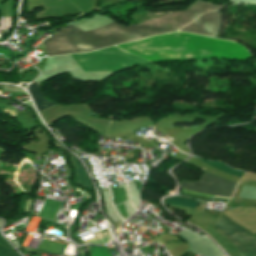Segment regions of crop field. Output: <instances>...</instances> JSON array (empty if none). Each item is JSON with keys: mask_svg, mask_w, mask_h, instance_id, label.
Here are the masks:
<instances>
[{"mask_svg": "<svg viewBox=\"0 0 256 256\" xmlns=\"http://www.w3.org/2000/svg\"><path fill=\"white\" fill-rule=\"evenodd\" d=\"M220 26L221 11H217L200 16L181 31L216 37Z\"/></svg>", "mask_w": 256, "mask_h": 256, "instance_id": "6", "label": "crop field"}, {"mask_svg": "<svg viewBox=\"0 0 256 256\" xmlns=\"http://www.w3.org/2000/svg\"><path fill=\"white\" fill-rule=\"evenodd\" d=\"M90 251L93 256H110L109 252L107 251V248H100V247H91Z\"/></svg>", "mask_w": 256, "mask_h": 256, "instance_id": "11", "label": "crop field"}, {"mask_svg": "<svg viewBox=\"0 0 256 256\" xmlns=\"http://www.w3.org/2000/svg\"><path fill=\"white\" fill-rule=\"evenodd\" d=\"M167 203L172 204V205L194 208L199 202L187 201L184 199L174 198V199L167 200Z\"/></svg>", "mask_w": 256, "mask_h": 256, "instance_id": "10", "label": "crop field"}, {"mask_svg": "<svg viewBox=\"0 0 256 256\" xmlns=\"http://www.w3.org/2000/svg\"><path fill=\"white\" fill-rule=\"evenodd\" d=\"M236 183L207 174L201 176L199 181L196 182H186L181 181V186L183 190L201 193L205 195H217L231 197ZM225 198V197H219ZM229 199V198H226Z\"/></svg>", "mask_w": 256, "mask_h": 256, "instance_id": "5", "label": "crop field"}, {"mask_svg": "<svg viewBox=\"0 0 256 256\" xmlns=\"http://www.w3.org/2000/svg\"><path fill=\"white\" fill-rule=\"evenodd\" d=\"M216 230L233 244H235L242 256H256V238L243 228L236 225L226 216H220Z\"/></svg>", "mask_w": 256, "mask_h": 256, "instance_id": "4", "label": "crop field"}, {"mask_svg": "<svg viewBox=\"0 0 256 256\" xmlns=\"http://www.w3.org/2000/svg\"><path fill=\"white\" fill-rule=\"evenodd\" d=\"M200 160H202V159H200ZM202 161H204V160H202ZM206 163L215 167V168H217V169H219V170H221V171H223V172H227V173H230V174H233V175H236V176L242 177L243 174H244V172L232 170V169L228 168L227 166H225L224 164H222L220 162H206Z\"/></svg>", "mask_w": 256, "mask_h": 256, "instance_id": "9", "label": "crop field"}, {"mask_svg": "<svg viewBox=\"0 0 256 256\" xmlns=\"http://www.w3.org/2000/svg\"><path fill=\"white\" fill-rule=\"evenodd\" d=\"M0 255L1 256H20L17 252L11 251L2 246H0Z\"/></svg>", "mask_w": 256, "mask_h": 256, "instance_id": "12", "label": "crop field"}, {"mask_svg": "<svg viewBox=\"0 0 256 256\" xmlns=\"http://www.w3.org/2000/svg\"><path fill=\"white\" fill-rule=\"evenodd\" d=\"M0 243L1 244H3V245H5V246H7V247H11L10 245H8L7 243H6V241L0 236ZM12 248V247H11Z\"/></svg>", "mask_w": 256, "mask_h": 256, "instance_id": "13", "label": "crop field"}, {"mask_svg": "<svg viewBox=\"0 0 256 256\" xmlns=\"http://www.w3.org/2000/svg\"><path fill=\"white\" fill-rule=\"evenodd\" d=\"M29 92L32 95L33 100L39 111L55 105V103H51L48 101L43 102L44 95L40 91L39 82L34 81L31 85H29Z\"/></svg>", "mask_w": 256, "mask_h": 256, "instance_id": "7", "label": "crop field"}, {"mask_svg": "<svg viewBox=\"0 0 256 256\" xmlns=\"http://www.w3.org/2000/svg\"><path fill=\"white\" fill-rule=\"evenodd\" d=\"M118 47L152 62L186 61L199 58L234 60L251 58V54L238 43L182 32L149 37L140 41L118 45Z\"/></svg>", "mask_w": 256, "mask_h": 256, "instance_id": "2", "label": "crop field"}, {"mask_svg": "<svg viewBox=\"0 0 256 256\" xmlns=\"http://www.w3.org/2000/svg\"><path fill=\"white\" fill-rule=\"evenodd\" d=\"M228 4L230 3L214 5L210 2L205 3L197 0L183 12H167L130 27L123 26L115 21L103 28L87 32L74 26H67V28L62 29L56 35L48 38L44 45L49 56L87 52L97 48L178 30L196 19L199 15L207 11L221 9Z\"/></svg>", "mask_w": 256, "mask_h": 256, "instance_id": "1", "label": "crop field"}, {"mask_svg": "<svg viewBox=\"0 0 256 256\" xmlns=\"http://www.w3.org/2000/svg\"><path fill=\"white\" fill-rule=\"evenodd\" d=\"M55 143L60 146L56 141ZM60 148L64 149L62 146H60ZM65 150V149H64ZM67 151V150H66ZM67 153L70 155L71 157V162L72 164L76 167V176H77V179H78V182L79 184H81L82 186H85V187H88V186H91L90 182H89V179L82 167V165L79 163V161L73 157L68 151Z\"/></svg>", "mask_w": 256, "mask_h": 256, "instance_id": "8", "label": "crop field"}, {"mask_svg": "<svg viewBox=\"0 0 256 256\" xmlns=\"http://www.w3.org/2000/svg\"><path fill=\"white\" fill-rule=\"evenodd\" d=\"M83 71H118L148 61L116 48L115 46L84 54H71Z\"/></svg>", "mask_w": 256, "mask_h": 256, "instance_id": "3", "label": "crop field"}]
</instances>
